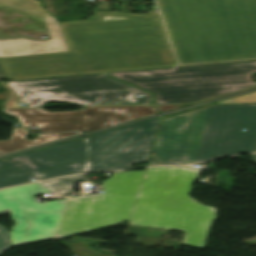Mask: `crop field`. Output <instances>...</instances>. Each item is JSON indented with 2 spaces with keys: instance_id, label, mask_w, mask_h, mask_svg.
<instances>
[{
  "instance_id": "11",
  "label": "crop field",
  "mask_w": 256,
  "mask_h": 256,
  "mask_svg": "<svg viewBox=\"0 0 256 256\" xmlns=\"http://www.w3.org/2000/svg\"><path fill=\"white\" fill-rule=\"evenodd\" d=\"M0 8L45 22L51 40H0V57L68 51L55 18L44 12L33 0H0Z\"/></svg>"
},
{
  "instance_id": "10",
  "label": "crop field",
  "mask_w": 256,
  "mask_h": 256,
  "mask_svg": "<svg viewBox=\"0 0 256 256\" xmlns=\"http://www.w3.org/2000/svg\"><path fill=\"white\" fill-rule=\"evenodd\" d=\"M41 184L0 191V200L11 209L12 246L53 237L66 199L38 203L32 196L48 193Z\"/></svg>"
},
{
  "instance_id": "3",
  "label": "crop field",
  "mask_w": 256,
  "mask_h": 256,
  "mask_svg": "<svg viewBox=\"0 0 256 256\" xmlns=\"http://www.w3.org/2000/svg\"><path fill=\"white\" fill-rule=\"evenodd\" d=\"M159 118L0 160V188L80 172L147 162Z\"/></svg>"
},
{
  "instance_id": "15",
  "label": "crop field",
  "mask_w": 256,
  "mask_h": 256,
  "mask_svg": "<svg viewBox=\"0 0 256 256\" xmlns=\"http://www.w3.org/2000/svg\"><path fill=\"white\" fill-rule=\"evenodd\" d=\"M234 103H256V92L243 95L240 97L232 98L229 100L217 102L215 104H234Z\"/></svg>"
},
{
  "instance_id": "9",
  "label": "crop field",
  "mask_w": 256,
  "mask_h": 256,
  "mask_svg": "<svg viewBox=\"0 0 256 256\" xmlns=\"http://www.w3.org/2000/svg\"><path fill=\"white\" fill-rule=\"evenodd\" d=\"M16 116L22 127L39 126L40 132H87L157 114L153 106L95 107L83 111L50 113L43 108L2 109Z\"/></svg>"
},
{
  "instance_id": "14",
  "label": "crop field",
  "mask_w": 256,
  "mask_h": 256,
  "mask_svg": "<svg viewBox=\"0 0 256 256\" xmlns=\"http://www.w3.org/2000/svg\"><path fill=\"white\" fill-rule=\"evenodd\" d=\"M10 209L0 211L1 214L9 213ZM11 247L10 232L4 227L0 226V254Z\"/></svg>"
},
{
  "instance_id": "16",
  "label": "crop field",
  "mask_w": 256,
  "mask_h": 256,
  "mask_svg": "<svg viewBox=\"0 0 256 256\" xmlns=\"http://www.w3.org/2000/svg\"><path fill=\"white\" fill-rule=\"evenodd\" d=\"M1 83L4 85V87H6V88L10 91L9 98H8V100H7V102H6L5 106H4V108H6V106H10V105H13V104L16 103L17 96L15 95V93H14L12 90H10V89L4 84V82H1Z\"/></svg>"
},
{
  "instance_id": "12",
  "label": "crop field",
  "mask_w": 256,
  "mask_h": 256,
  "mask_svg": "<svg viewBox=\"0 0 256 256\" xmlns=\"http://www.w3.org/2000/svg\"><path fill=\"white\" fill-rule=\"evenodd\" d=\"M26 132L27 130L22 128H13L11 139L0 141V155L77 134V132L40 134L36 139L27 141Z\"/></svg>"
},
{
  "instance_id": "4",
  "label": "crop field",
  "mask_w": 256,
  "mask_h": 256,
  "mask_svg": "<svg viewBox=\"0 0 256 256\" xmlns=\"http://www.w3.org/2000/svg\"><path fill=\"white\" fill-rule=\"evenodd\" d=\"M255 150L256 104L212 105L164 118L148 165L192 164Z\"/></svg>"
},
{
  "instance_id": "13",
  "label": "crop field",
  "mask_w": 256,
  "mask_h": 256,
  "mask_svg": "<svg viewBox=\"0 0 256 256\" xmlns=\"http://www.w3.org/2000/svg\"><path fill=\"white\" fill-rule=\"evenodd\" d=\"M84 180V175L67 176L49 181L43 184L60 196L68 195L73 190V182Z\"/></svg>"
},
{
  "instance_id": "8",
  "label": "crop field",
  "mask_w": 256,
  "mask_h": 256,
  "mask_svg": "<svg viewBox=\"0 0 256 256\" xmlns=\"http://www.w3.org/2000/svg\"><path fill=\"white\" fill-rule=\"evenodd\" d=\"M144 172H112L104 194L69 198L56 237L128 221Z\"/></svg>"
},
{
  "instance_id": "17",
  "label": "crop field",
  "mask_w": 256,
  "mask_h": 256,
  "mask_svg": "<svg viewBox=\"0 0 256 256\" xmlns=\"http://www.w3.org/2000/svg\"><path fill=\"white\" fill-rule=\"evenodd\" d=\"M182 106H186V105L156 106V107L158 108V110L160 112H162V111H166V110H170V109H174V108H178V107H182Z\"/></svg>"
},
{
  "instance_id": "7",
  "label": "crop field",
  "mask_w": 256,
  "mask_h": 256,
  "mask_svg": "<svg viewBox=\"0 0 256 256\" xmlns=\"http://www.w3.org/2000/svg\"><path fill=\"white\" fill-rule=\"evenodd\" d=\"M18 96L7 108L44 107L48 101L80 106L152 104L151 94L102 74L44 78L5 82ZM134 93L144 99H133ZM26 102L27 106H18Z\"/></svg>"
},
{
  "instance_id": "2",
  "label": "crop field",
  "mask_w": 256,
  "mask_h": 256,
  "mask_svg": "<svg viewBox=\"0 0 256 256\" xmlns=\"http://www.w3.org/2000/svg\"><path fill=\"white\" fill-rule=\"evenodd\" d=\"M180 64L256 58V0H156Z\"/></svg>"
},
{
  "instance_id": "1",
  "label": "crop field",
  "mask_w": 256,
  "mask_h": 256,
  "mask_svg": "<svg viewBox=\"0 0 256 256\" xmlns=\"http://www.w3.org/2000/svg\"><path fill=\"white\" fill-rule=\"evenodd\" d=\"M69 52L0 58L9 79L177 65L157 10L58 23Z\"/></svg>"
},
{
  "instance_id": "19",
  "label": "crop field",
  "mask_w": 256,
  "mask_h": 256,
  "mask_svg": "<svg viewBox=\"0 0 256 256\" xmlns=\"http://www.w3.org/2000/svg\"><path fill=\"white\" fill-rule=\"evenodd\" d=\"M4 78V75H3V72H2V69L0 67V81Z\"/></svg>"
},
{
  "instance_id": "20",
  "label": "crop field",
  "mask_w": 256,
  "mask_h": 256,
  "mask_svg": "<svg viewBox=\"0 0 256 256\" xmlns=\"http://www.w3.org/2000/svg\"><path fill=\"white\" fill-rule=\"evenodd\" d=\"M252 161L256 162V154L253 155Z\"/></svg>"
},
{
  "instance_id": "5",
  "label": "crop field",
  "mask_w": 256,
  "mask_h": 256,
  "mask_svg": "<svg viewBox=\"0 0 256 256\" xmlns=\"http://www.w3.org/2000/svg\"><path fill=\"white\" fill-rule=\"evenodd\" d=\"M201 169L147 168L129 224L185 231L183 245L204 248L215 208L188 196Z\"/></svg>"
},
{
  "instance_id": "6",
  "label": "crop field",
  "mask_w": 256,
  "mask_h": 256,
  "mask_svg": "<svg viewBox=\"0 0 256 256\" xmlns=\"http://www.w3.org/2000/svg\"><path fill=\"white\" fill-rule=\"evenodd\" d=\"M256 61L108 74L154 94L156 104L194 103L256 86Z\"/></svg>"
},
{
  "instance_id": "18",
  "label": "crop field",
  "mask_w": 256,
  "mask_h": 256,
  "mask_svg": "<svg viewBox=\"0 0 256 256\" xmlns=\"http://www.w3.org/2000/svg\"><path fill=\"white\" fill-rule=\"evenodd\" d=\"M7 207L0 201V210L6 209Z\"/></svg>"
}]
</instances>
